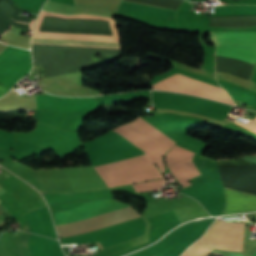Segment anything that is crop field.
Here are the masks:
<instances>
[{"instance_id":"obj_1","label":"crop field","mask_w":256,"mask_h":256,"mask_svg":"<svg viewBox=\"0 0 256 256\" xmlns=\"http://www.w3.org/2000/svg\"><path fill=\"white\" fill-rule=\"evenodd\" d=\"M12 167L32 176L31 180L55 192H76L106 187L92 166L37 171L22 163H15Z\"/></svg>"},{"instance_id":"obj_2","label":"crop field","mask_w":256,"mask_h":256,"mask_svg":"<svg viewBox=\"0 0 256 256\" xmlns=\"http://www.w3.org/2000/svg\"><path fill=\"white\" fill-rule=\"evenodd\" d=\"M108 187L162 178L145 154L94 167Z\"/></svg>"},{"instance_id":"obj_3","label":"crop field","mask_w":256,"mask_h":256,"mask_svg":"<svg viewBox=\"0 0 256 256\" xmlns=\"http://www.w3.org/2000/svg\"><path fill=\"white\" fill-rule=\"evenodd\" d=\"M114 131L142 149L162 173L165 171L162 157L175 144L173 140L140 117Z\"/></svg>"},{"instance_id":"obj_4","label":"crop field","mask_w":256,"mask_h":256,"mask_svg":"<svg viewBox=\"0 0 256 256\" xmlns=\"http://www.w3.org/2000/svg\"><path fill=\"white\" fill-rule=\"evenodd\" d=\"M244 223L216 220L205 235L181 256H207L213 248L242 251Z\"/></svg>"},{"instance_id":"obj_5","label":"crop field","mask_w":256,"mask_h":256,"mask_svg":"<svg viewBox=\"0 0 256 256\" xmlns=\"http://www.w3.org/2000/svg\"><path fill=\"white\" fill-rule=\"evenodd\" d=\"M151 89L203 96L216 101L235 105L225 90L179 73L159 82L152 86Z\"/></svg>"},{"instance_id":"obj_6","label":"crop field","mask_w":256,"mask_h":256,"mask_svg":"<svg viewBox=\"0 0 256 256\" xmlns=\"http://www.w3.org/2000/svg\"><path fill=\"white\" fill-rule=\"evenodd\" d=\"M216 59L256 60V35L210 37Z\"/></svg>"},{"instance_id":"obj_7","label":"crop field","mask_w":256,"mask_h":256,"mask_svg":"<svg viewBox=\"0 0 256 256\" xmlns=\"http://www.w3.org/2000/svg\"><path fill=\"white\" fill-rule=\"evenodd\" d=\"M119 204H123L120 201L117 200H95V201H91L89 203H85L82 204L74 209L71 210H67V211H63V212H59V213H55V220H60V219H66V218H71V217H75L78 215H82L85 213H89L92 211H96L99 209H103V208H107V207H111V206H115V205H119ZM128 208H132L131 204H123V205H119V206H115V207H111V208H107V209H103V210H99L96 212H92L89 214H85L82 216H78L75 218H71V219H67V220H61V221H55L56 222V227L58 226H64L66 224L69 223H73V222H77L80 220H84L87 218H91V217H95V216H99L108 212H112V211H117V210H123V209H128ZM62 238V237H60ZM96 244V246L101 249L102 246L99 243V241H95L94 242Z\"/></svg>"},{"instance_id":"obj_8","label":"crop field","mask_w":256,"mask_h":256,"mask_svg":"<svg viewBox=\"0 0 256 256\" xmlns=\"http://www.w3.org/2000/svg\"><path fill=\"white\" fill-rule=\"evenodd\" d=\"M37 109L85 111L95 108L93 98H61L36 95Z\"/></svg>"},{"instance_id":"obj_9","label":"crop field","mask_w":256,"mask_h":256,"mask_svg":"<svg viewBox=\"0 0 256 256\" xmlns=\"http://www.w3.org/2000/svg\"><path fill=\"white\" fill-rule=\"evenodd\" d=\"M224 190L225 207L221 215L256 210V197Z\"/></svg>"},{"instance_id":"obj_10","label":"crop field","mask_w":256,"mask_h":256,"mask_svg":"<svg viewBox=\"0 0 256 256\" xmlns=\"http://www.w3.org/2000/svg\"><path fill=\"white\" fill-rule=\"evenodd\" d=\"M118 11L140 15V16L164 19V20H168V17L174 18V14H175V11L173 10H167V9L146 6V5L136 4V3H130L125 1H122Z\"/></svg>"},{"instance_id":"obj_11","label":"crop field","mask_w":256,"mask_h":256,"mask_svg":"<svg viewBox=\"0 0 256 256\" xmlns=\"http://www.w3.org/2000/svg\"><path fill=\"white\" fill-rule=\"evenodd\" d=\"M29 250L32 256H64L58 241L45 238L46 249L44 245V238L36 235H31L29 241Z\"/></svg>"},{"instance_id":"obj_12","label":"crop field","mask_w":256,"mask_h":256,"mask_svg":"<svg viewBox=\"0 0 256 256\" xmlns=\"http://www.w3.org/2000/svg\"><path fill=\"white\" fill-rule=\"evenodd\" d=\"M32 40L121 45L119 42H109V41H89V40L50 39V38H33Z\"/></svg>"},{"instance_id":"obj_13","label":"crop field","mask_w":256,"mask_h":256,"mask_svg":"<svg viewBox=\"0 0 256 256\" xmlns=\"http://www.w3.org/2000/svg\"><path fill=\"white\" fill-rule=\"evenodd\" d=\"M14 146L13 133L0 130V148L10 149Z\"/></svg>"},{"instance_id":"obj_14","label":"crop field","mask_w":256,"mask_h":256,"mask_svg":"<svg viewBox=\"0 0 256 256\" xmlns=\"http://www.w3.org/2000/svg\"><path fill=\"white\" fill-rule=\"evenodd\" d=\"M0 208L5 212L0 214V218H12L11 214L4 207L0 206Z\"/></svg>"},{"instance_id":"obj_15","label":"crop field","mask_w":256,"mask_h":256,"mask_svg":"<svg viewBox=\"0 0 256 256\" xmlns=\"http://www.w3.org/2000/svg\"><path fill=\"white\" fill-rule=\"evenodd\" d=\"M10 89L6 86H0V97L6 94Z\"/></svg>"},{"instance_id":"obj_16","label":"crop field","mask_w":256,"mask_h":256,"mask_svg":"<svg viewBox=\"0 0 256 256\" xmlns=\"http://www.w3.org/2000/svg\"><path fill=\"white\" fill-rule=\"evenodd\" d=\"M162 183H164V182H161V183H158V184H162Z\"/></svg>"}]
</instances>
